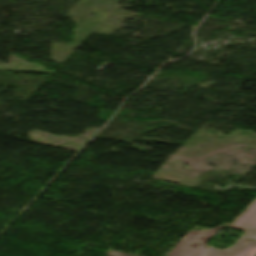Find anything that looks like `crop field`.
<instances>
[{"label":"crop field","mask_w":256,"mask_h":256,"mask_svg":"<svg viewBox=\"0 0 256 256\" xmlns=\"http://www.w3.org/2000/svg\"><path fill=\"white\" fill-rule=\"evenodd\" d=\"M224 226L210 231H190L169 253L170 256H202L210 246L204 245L212 238L217 230Z\"/></svg>","instance_id":"1"},{"label":"crop field","mask_w":256,"mask_h":256,"mask_svg":"<svg viewBox=\"0 0 256 256\" xmlns=\"http://www.w3.org/2000/svg\"><path fill=\"white\" fill-rule=\"evenodd\" d=\"M231 226L245 229L247 236L256 238V199Z\"/></svg>","instance_id":"3"},{"label":"crop field","mask_w":256,"mask_h":256,"mask_svg":"<svg viewBox=\"0 0 256 256\" xmlns=\"http://www.w3.org/2000/svg\"><path fill=\"white\" fill-rule=\"evenodd\" d=\"M229 227H231V226H229ZM232 228H234V227H232Z\"/></svg>","instance_id":"5"},{"label":"crop field","mask_w":256,"mask_h":256,"mask_svg":"<svg viewBox=\"0 0 256 256\" xmlns=\"http://www.w3.org/2000/svg\"><path fill=\"white\" fill-rule=\"evenodd\" d=\"M246 238L241 237L233 247L221 251L212 247L205 256H256V242L248 245L240 244Z\"/></svg>","instance_id":"2"},{"label":"crop field","mask_w":256,"mask_h":256,"mask_svg":"<svg viewBox=\"0 0 256 256\" xmlns=\"http://www.w3.org/2000/svg\"><path fill=\"white\" fill-rule=\"evenodd\" d=\"M107 255L108 256H135V255L122 253V252H118V251H114V250H111Z\"/></svg>","instance_id":"4"}]
</instances>
